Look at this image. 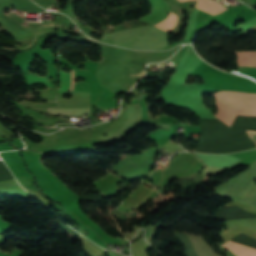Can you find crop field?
<instances>
[{
  "label": "crop field",
  "mask_w": 256,
  "mask_h": 256,
  "mask_svg": "<svg viewBox=\"0 0 256 256\" xmlns=\"http://www.w3.org/2000/svg\"><path fill=\"white\" fill-rule=\"evenodd\" d=\"M213 95L220 107L216 117L230 126L237 114L256 116V94L221 91Z\"/></svg>",
  "instance_id": "crop-field-1"
},
{
  "label": "crop field",
  "mask_w": 256,
  "mask_h": 256,
  "mask_svg": "<svg viewBox=\"0 0 256 256\" xmlns=\"http://www.w3.org/2000/svg\"><path fill=\"white\" fill-rule=\"evenodd\" d=\"M222 246L228 247L237 256H256V249L235 242L228 241Z\"/></svg>",
  "instance_id": "crop-field-2"
},
{
  "label": "crop field",
  "mask_w": 256,
  "mask_h": 256,
  "mask_svg": "<svg viewBox=\"0 0 256 256\" xmlns=\"http://www.w3.org/2000/svg\"><path fill=\"white\" fill-rule=\"evenodd\" d=\"M239 61L240 66L256 67V51L252 52H234Z\"/></svg>",
  "instance_id": "crop-field-3"
},
{
  "label": "crop field",
  "mask_w": 256,
  "mask_h": 256,
  "mask_svg": "<svg viewBox=\"0 0 256 256\" xmlns=\"http://www.w3.org/2000/svg\"><path fill=\"white\" fill-rule=\"evenodd\" d=\"M179 1L182 2V1H185V0H179ZM197 1L203 3V4L207 5V6H210V7L214 8V9L220 11V12H222V11H224L226 9V8L222 7L219 3H216V2H214L212 0H197ZM196 8H198V9L204 11V12H207V13H209L211 15L219 13V12H217V11L211 9V8H208V7H206V6H204V5L200 4V3H197Z\"/></svg>",
  "instance_id": "crop-field-4"
},
{
  "label": "crop field",
  "mask_w": 256,
  "mask_h": 256,
  "mask_svg": "<svg viewBox=\"0 0 256 256\" xmlns=\"http://www.w3.org/2000/svg\"><path fill=\"white\" fill-rule=\"evenodd\" d=\"M71 74H72V85H71ZM71 74L66 73L64 71L60 72V87H59L58 92H63V91L69 90L70 85H71L70 91H72L73 85H74V70H72Z\"/></svg>",
  "instance_id": "crop-field-5"
},
{
  "label": "crop field",
  "mask_w": 256,
  "mask_h": 256,
  "mask_svg": "<svg viewBox=\"0 0 256 256\" xmlns=\"http://www.w3.org/2000/svg\"><path fill=\"white\" fill-rule=\"evenodd\" d=\"M177 20H178V18L170 12V14L167 16V18L164 21L156 24L155 26H157L165 31H168L175 26Z\"/></svg>",
  "instance_id": "crop-field-6"
},
{
  "label": "crop field",
  "mask_w": 256,
  "mask_h": 256,
  "mask_svg": "<svg viewBox=\"0 0 256 256\" xmlns=\"http://www.w3.org/2000/svg\"><path fill=\"white\" fill-rule=\"evenodd\" d=\"M52 113L59 114H88V108H74V109H49Z\"/></svg>",
  "instance_id": "crop-field-7"
},
{
  "label": "crop field",
  "mask_w": 256,
  "mask_h": 256,
  "mask_svg": "<svg viewBox=\"0 0 256 256\" xmlns=\"http://www.w3.org/2000/svg\"><path fill=\"white\" fill-rule=\"evenodd\" d=\"M29 79V83L32 85L34 83H44L45 85L52 86L49 81H47L46 77L43 76H35V75H27ZM50 88V87H47Z\"/></svg>",
  "instance_id": "crop-field-8"
},
{
  "label": "crop field",
  "mask_w": 256,
  "mask_h": 256,
  "mask_svg": "<svg viewBox=\"0 0 256 256\" xmlns=\"http://www.w3.org/2000/svg\"><path fill=\"white\" fill-rule=\"evenodd\" d=\"M247 134H248L249 137L252 139V141L254 142V144H256V132L247 131Z\"/></svg>",
  "instance_id": "crop-field-9"
},
{
  "label": "crop field",
  "mask_w": 256,
  "mask_h": 256,
  "mask_svg": "<svg viewBox=\"0 0 256 256\" xmlns=\"http://www.w3.org/2000/svg\"><path fill=\"white\" fill-rule=\"evenodd\" d=\"M0 256H7V252L5 253L0 252Z\"/></svg>",
  "instance_id": "crop-field-10"
}]
</instances>
